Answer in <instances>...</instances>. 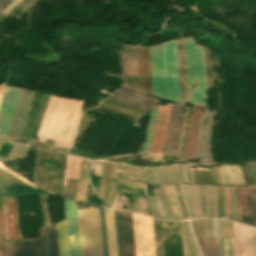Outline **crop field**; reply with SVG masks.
<instances>
[{
    "instance_id": "obj_36",
    "label": "crop field",
    "mask_w": 256,
    "mask_h": 256,
    "mask_svg": "<svg viewBox=\"0 0 256 256\" xmlns=\"http://www.w3.org/2000/svg\"><path fill=\"white\" fill-rule=\"evenodd\" d=\"M116 184L143 191V183L134 181H115Z\"/></svg>"
},
{
    "instance_id": "obj_37",
    "label": "crop field",
    "mask_w": 256,
    "mask_h": 256,
    "mask_svg": "<svg viewBox=\"0 0 256 256\" xmlns=\"http://www.w3.org/2000/svg\"><path fill=\"white\" fill-rule=\"evenodd\" d=\"M196 236H205L201 219L191 220Z\"/></svg>"
},
{
    "instance_id": "obj_4",
    "label": "crop field",
    "mask_w": 256,
    "mask_h": 256,
    "mask_svg": "<svg viewBox=\"0 0 256 256\" xmlns=\"http://www.w3.org/2000/svg\"><path fill=\"white\" fill-rule=\"evenodd\" d=\"M167 99L180 101L176 41L163 44Z\"/></svg>"
},
{
    "instance_id": "obj_30",
    "label": "crop field",
    "mask_w": 256,
    "mask_h": 256,
    "mask_svg": "<svg viewBox=\"0 0 256 256\" xmlns=\"http://www.w3.org/2000/svg\"><path fill=\"white\" fill-rule=\"evenodd\" d=\"M224 167H225L226 172H227V174H228V177H229V180H230V184H231V185H233V182H234V185H238V184H241V183H242V184H245L244 178H243V176H242V174H241L240 169H239L238 166H235V167H236V169H237V172H238L239 178H240V180H241V183H240V181H239V178H238V175H237V172H236V169H235L234 166H228L229 171H230V174H231L232 179H233V182H232V179H231V176H230V174H229V171H228L227 166H224Z\"/></svg>"
},
{
    "instance_id": "obj_59",
    "label": "crop field",
    "mask_w": 256,
    "mask_h": 256,
    "mask_svg": "<svg viewBox=\"0 0 256 256\" xmlns=\"http://www.w3.org/2000/svg\"><path fill=\"white\" fill-rule=\"evenodd\" d=\"M12 0H0V11H2Z\"/></svg>"
},
{
    "instance_id": "obj_60",
    "label": "crop field",
    "mask_w": 256,
    "mask_h": 256,
    "mask_svg": "<svg viewBox=\"0 0 256 256\" xmlns=\"http://www.w3.org/2000/svg\"><path fill=\"white\" fill-rule=\"evenodd\" d=\"M188 170H189V167H188ZM188 170H187V168H185L186 176H187V180H188V184H191L192 181H193V184H194L195 182H194L192 170H191V168H190V170H191V175H192V181H191V182H190L191 175H190V178H189L190 170H189V174H188Z\"/></svg>"
},
{
    "instance_id": "obj_40",
    "label": "crop field",
    "mask_w": 256,
    "mask_h": 256,
    "mask_svg": "<svg viewBox=\"0 0 256 256\" xmlns=\"http://www.w3.org/2000/svg\"><path fill=\"white\" fill-rule=\"evenodd\" d=\"M169 187H170V190H171V193H172V196H173V199H174L179 217L183 218L180 203H179L177 195H176L175 187L174 186H169Z\"/></svg>"
},
{
    "instance_id": "obj_67",
    "label": "crop field",
    "mask_w": 256,
    "mask_h": 256,
    "mask_svg": "<svg viewBox=\"0 0 256 256\" xmlns=\"http://www.w3.org/2000/svg\"><path fill=\"white\" fill-rule=\"evenodd\" d=\"M209 170H210V174H211V177H212L213 183H214V184H217V183H216V179H215V175H214V171H213V169H209Z\"/></svg>"
},
{
    "instance_id": "obj_28",
    "label": "crop field",
    "mask_w": 256,
    "mask_h": 256,
    "mask_svg": "<svg viewBox=\"0 0 256 256\" xmlns=\"http://www.w3.org/2000/svg\"><path fill=\"white\" fill-rule=\"evenodd\" d=\"M219 245V256H223V245H224V256H233L232 238H218Z\"/></svg>"
},
{
    "instance_id": "obj_7",
    "label": "crop field",
    "mask_w": 256,
    "mask_h": 256,
    "mask_svg": "<svg viewBox=\"0 0 256 256\" xmlns=\"http://www.w3.org/2000/svg\"><path fill=\"white\" fill-rule=\"evenodd\" d=\"M208 110L205 107L196 150L195 158H199V163H212L211 130L216 110L212 113H208Z\"/></svg>"
},
{
    "instance_id": "obj_12",
    "label": "crop field",
    "mask_w": 256,
    "mask_h": 256,
    "mask_svg": "<svg viewBox=\"0 0 256 256\" xmlns=\"http://www.w3.org/2000/svg\"><path fill=\"white\" fill-rule=\"evenodd\" d=\"M164 256H183L179 222L161 220Z\"/></svg>"
},
{
    "instance_id": "obj_29",
    "label": "crop field",
    "mask_w": 256,
    "mask_h": 256,
    "mask_svg": "<svg viewBox=\"0 0 256 256\" xmlns=\"http://www.w3.org/2000/svg\"><path fill=\"white\" fill-rule=\"evenodd\" d=\"M190 187H191V191H192V196H193V202H194V207H195L196 215L199 216L198 215V211H197V206H198L199 214H200V216H202L201 205H200V197H199V186H195L197 206H196V200H195L194 186H190ZM187 188H188V194H189V199H190L193 215L195 217L196 215H195V211H194V207H193V203H192V197H191L190 188H189V186H187Z\"/></svg>"
},
{
    "instance_id": "obj_63",
    "label": "crop field",
    "mask_w": 256,
    "mask_h": 256,
    "mask_svg": "<svg viewBox=\"0 0 256 256\" xmlns=\"http://www.w3.org/2000/svg\"><path fill=\"white\" fill-rule=\"evenodd\" d=\"M177 187H178L179 192H180V194H181L182 203H183V207H184V210H185L186 216L188 217V215H187V211H186V207H185V203H184V199H183V195H182V191H181V187H180V186H177Z\"/></svg>"
},
{
    "instance_id": "obj_34",
    "label": "crop field",
    "mask_w": 256,
    "mask_h": 256,
    "mask_svg": "<svg viewBox=\"0 0 256 256\" xmlns=\"http://www.w3.org/2000/svg\"><path fill=\"white\" fill-rule=\"evenodd\" d=\"M49 232H50V242H51V253H52V256H58L55 225L49 227Z\"/></svg>"
},
{
    "instance_id": "obj_39",
    "label": "crop field",
    "mask_w": 256,
    "mask_h": 256,
    "mask_svg": "<svg viewBox=\"0 0 256 256\" xmlns=\"http://www.w3.org/2000/svg\"><path fill=\"white\" fill-rule=\"evenodd\" d=\"M180 223H181V227H182V230H183L186 242H187V246H188V249H189V252H190V256H195L192 245H191V242H190V239H189V236H188V233H187L185 223H184V221L180 222Z\"/></svg>"
},
{
    "instance_id": "obj_25",
    "label": "crop field",
    "mask_w": 256,
    "mask_h": 256,
    "mask_svg": "<svg viewBox=\"0 0 256 256\" xmlns=\"http://www.w3.org/2000/svg\"><path fill=\"white\" fill-rule=\"evenodd\" d=\"M153 171H154V184L175 183L171 166L162 167V168H153Z\"/></svg>"
},
{
    "instance_id": "obj_75",
    "label": "crop field",
    "mask_w": 256,
    "mask_h": 256,
    "mask_svg": "<svg viewBox=\"0 0 256 256\" xmlns=\"http://www.w3.org/2000/svg\"><path fill=\"white\" fill-rule=\"evenodd\" d=\"M218 170H219V173H220L221 178H222V184H224V185H225V183H224V179H223V175H222V172H221V168L219 167V168H218Z\"/></svg>"
},
{
    "instance_id": "obj_15",
    "label": "crop field",
    "mask_w": 256,
    "mask_h": 256,
    "mask_svg": "<svg viewBox=\"0 0 256 256\" xmlns=\"http://www.w3.org/2000/svg\"><path fill=\"white\" fill-rule=\"evenodd\" d=\"M19 91V88L6 87L5 89L0 106V136L6 137L7 135Z\"/></svg>"
},
{
    "instance_id": "obj_52",
    "label": "crop field",
    "mask_w": 256,
    "mask_h": 256,
    "mask_svg": "<svg viewBox=\"0 0 256 256\" xmlns=\"http://www.w3.org/2000/svg\"><path fill=\"white\" fill-rule=\"evenodd\" d=\"M214 194H217V187L214 186ZM214 217H217V195H214Z\"/></svg>"
},
{
    "instance_id": "obj_33",
    "label": "crop field",
    "mask_w": 256,
    "mask_h": 256,
    "mask_svg": "<svg viewBox=\"0 0 256 256\" xmlns=\"http://www.w3.org/2000/svg\"><path fill=\"white\" fill-rule=\"evenodd\" d=\"M220 237H232L231 222L219 220Z\"/></svg>"
},
{
    "instance_id": "obj_18",
    "label": "crop field",
    "mask_w": 256,
    "mask_h": 256,
    "mask_svg": "<svg viewBox=\"0 0 256 256\" xmlns=\"http://www.w3.org/2000/svg\"><path fill=\"white\" fill-rule=\"evenodd\" d=\"M108 255L117 256L116 235L113 210L104 207Z\"/></svg>"
},
{
    "instance_id": "obj_51",
    "label": "crop field",
    "mask_w": 256,
    "mask_h": 256,
    "mask_svg": "<svg viewBox=\"0 0 256 256\" xmlns=\"http://www.w3.org/2000/svg\"><path fill=\"white\" fill-rule=\"evenodd\" d=\"M0 168L3 169V170H5L6 172L12 174L13 176L17 177L18 179H20V180L26 182L27 184L31 185L32 187L37 188V187H35L34 185H32L31 183H29V182L25 181L24 179L20 178L18 175L14 174V173L11 172L10 170L6 169V168L3 167L1 164H0Z\"/></svg>"
},
{
    "instance_id": "obj_3",
    "label": "crop field",
    "mask_w": 256,
    "mask_h": 256,
    "mask_svg": "<svg viewBox=\"0 0 256 256\" xmlns=\"http://www.w3.org/2000/svg\"><path fill=\"white\" fill-rule=\"evenodd\" d=\"M82 256H103L98 209L78 211Z\"/></svg>"
},
{
    "instance_id": "obj_61",
    "label": "crop field",
    "mask_w": 256,
    "mask_h": 256,
    "mask_svg": "<svg viewBox=\"0 0 256 256\" xmlns=\"http://www.w3.org/2000/svg\"><path fill=\"white\" fill-rule=\"evenodd\" d=\"M225 219H227V187H225Z\"/></svg>"
},
{
    "instance_id": "obj_64",
    "label": "crop field",
    "mask_w": 256,
    "mask_h": 256,
    "mask_svg": "<svg viewBox=\"0 0 256 256\" xmlns=\"http://www.w3.org/2000/svg\"><path fill=\"white\" fill-rule=\"evenodd\" d=\"M219 217L221 218V190L219 187Z\"/></svg>"
},
{
    "instance_id": "obj_53",
    "label": "crop field",
    "mask_w": 256,
    "mask_h": 256,
    "mask_svg": "<svg viewBox=\"0 0 256 256\" xmlns=\"http://www.w3.org/2000/svg\"><path fill=\"white\" fill-rule=\"evenodd\" d=\"M200 188H201L202 195H203L204 212H205V216H206L204 186H200ZM201 191H200V197H201V205H202V213H203V203H202ZM203 216H204V213H203Z\"/></svg>"
},
{
    "instance_id": "obj_1",
    "label": "crop field",
    "mask_w": 256,
    "mask_h": 256,
    "mask_svg": "<svg viewBox=\"0 0 256 256\" xmlns=\"http://www.w3.org/2000/svg\"><path fill=\"white\" fill-rule=\"evenodd\" d=\"M84 102L49 97L37 137L54 141L52 146L71 147Z\"/></svg>"
},
{
    "instance_id": "obj_22",
    "label": "crop field",
    "mask_w": 256,
    "mask_h": 256,
    "mask_svg": "<svg viewBox=\"0 0 256 256\" xmlns=\"http://www.w3.org/2000/svg\"><path fill=\"white\" fill-rule=\"evenodd\" d=\"M87 160L81 159L76 200L85 202L88 187Z\"/></svg>"
},
{
    "instance_id": "obj_68",
    "label": "crop field",
    "mask_w": 256,
    "mask_h": 256,
    "mask_svg": "<svg viewBox=\"0 0 256 256\" xmlns=\"http://www.w3.org/2000/svg\"><path fill=\"white\" fill-rule=\"evenodd\" d=\"M143 213L147 214L145 200L142 199Z\"/></svg>"
},
{
    "instance_id": "obj_50",
    "label": "crop field",
    "mask_w": 256,
    "mask_h": 256,
    "mask_svg": "<svg viewBox=\"0 0 256 256\" xmlns=\"http://www.w3.org/2000/svg\"><path fill=\"white\" fill-rule=\"evenodd\" d=\"M116 176L118 177H124V178H128L126 180H135V181H144V178H139V177H129V176H119V175H114V179H124V178H116Z\"/></svg>"
},
{
    "instance_id": "obj_69",
    "label": "crop field",
    "mask_w": 256,
    "mask_h": 256,
    "mask_svg": "<svg viewBox=\"0 0 256 256\" xmlns=\"http://www.w3.org/2000/svg\"><path fill=\"white\" fill-rule=\"evenodd\" d=\"M113 188H114V185L111 186V190H110V194H109V198H108V203H110L112 192H113Z\"/></svg>"
},
{
    "instance_id": "obj_44",
    "label": "crop field",
    "mask_w": 256,
    "mask_h": 256,
    "mask_svg": "<svg viewBox=\"0 0 256 256\" xmlns=\"http://www.w3.org/2000/svg\"><path fill=\"white\" fill-rule=\"evenodd\" d=\"M173 169L176 183H183L179 165H174Z\"/></svg>"
},
{
    "instance_id": "obj_16",
    "label": "crop field",
    "mask_w": 256,
    "mask_h": 256,
    "mask_svg": "<svg viewBox=\"0 0 256 256\" xmlns=\"http://www.w3.org/2000/svg\"><path fill=\"white\" fill-rule=\"evenodd\" d=\"M76 210V203L66 200L65 213L68 225L70 256H81Z\"/></svg>"
},
{
    "instance_id": "obj_19",
    "label": "crop field",
    "mask_w": 256,
    "mask_h": 256,
    "mask_svg": "<svg viewBox=\"0 0 256 256\" xmlns=\"http://www.w3.org/2000/svg\"><path fill=\"white\" fill-rule=\"evenodd\" d=\"M181 101L188 102L184 40L177 41Z\"/></svg>"
},
{
    "instance_id": "obj_26",
    "label": "crop field",
    "mask_w": 256,
    "mask_h": 256,
    "mask_svg": "<svg viewBox=\"0 0 256 256\" xmlns=\"http://www.w3.org/2000/svg\"><path fill=\"white\" fill-rule=\"evenodd\" d=\"M114 215H115L118 255L119 256H125V247H124V236H123V226H122L121 211L114 210Z\"/></svg>"
},
{
    "instance_id": "obj_21",
    "label": "crop field",
    "mask_w": 256,
    "mask_h": 256,
    "mask_svg": "<svg viewBox=\"0 0 256 256\" xmlns=\"http://www.w3.org/2000/svg\"><path fill=\"white\" fill-rule=\"evenodd\" d=\"M126 256H135L131 214L122 211Z\"/></svg>"
},
{
    "instance_id": "obj_57",
    "label": "crop field",
    "mask_w": 256,
    "mask_h": 256,
    "mask_svg": "<svg viewBox=\"0 0 256 256\" xmlns=\"http://www.w3.org/2000/svg\"><path fill=\"white\" fill-rule=\"evenodd\" d=\"M214 236H219L218 220H213Z\"/></svg>"
},
{
    "instance_id": "obj_14",
    "label": "crop field",
    "mask_w": 256,
    "mask_h": 256,
    "mask_svg": "<svg viewBox=\"0 0 256 256\" xmlns=\"http://www.w3.org/2000/svg\"><path fill=\"white\" fill-rule=\"evenodd\" d=\"M34 92L21 90L7 137L19 138Z\"/></svg>"
},
{
    "instance_id": "obj_9",
    "label": "crop field",
    "mask_w": 256,
    "mask_h": 256,
    "mask_svg": "<svg viewBox=\"0 0 256 256\" xmlns=\"http://www.w3.org/2000/svg\"><path fill=\"white\" fill-rule=\"evenodd\" d=\"M109 99L142 109L149 110L152 107L158 106L160 100L151 97L145 93L135 91L126 87L120 88Z\"/></svg>"
},
{
    "instance_id": "obj_45",
    "label": "crop field",
    "mask_w": 256,
    "mask_h": 256,
    "mask_svg": "<svg viewBox=\"0 0 256 256\" xmlns=\"http://www.w3.org/2000/svg\"><path fill=\"white\" fill-rule=\"evenodd\" d=\"M145 181L149 184H153V172L152 168H146V179Z\"/></svg>"
},
{
    "instance_id": "obj_49",
    "label": "crop field",
    "mask_w": 256,
    "mask_h": 256,
    "mask_svg": "<svg viewBox=\"0 0 256 256\" xmlns=\"http://www.w3.org/2000/svg\"><path fill=\"white\" fill-rule=\"evenodd\" d=\"M21 0H14L7 9L3 12V14L7 15Z\"/></svg>"
},
{
    "instance_id": "obj_8",
    "label": "crop field",
    "mask_w": 256,
    "mask_h": 256,
    "mask_svg": "<svg viewBox=\"0 0 256 256\" xmlns=\"http://www.w3.org/2000/svg\"><path fill=\"white\" fill-rule=\"evenodd\" d=\"M47 99L48 95L34 93L20 138L30 140L32 136L37 135Z\"/></svg>"
},
{
    "instance_id": "obj_47",
    "label": "crop field",
    "mask_w": 256,
    "mask_h": 256,
    "mask_svg": "<svg viewBox=\"0 0 256 256\" xmlns=\"http://www.w3.org/2000/svg\"><path fill=\"white\" fill-rule=\"evenodd\" d=\"M186 225H187V229H188V232H189V235H190V239H191L193 248H194V250H195L196 256H200V254H199V252H198V249H197V246H196V244H195V241H194V239L192 238L190 226H189V224H188L187 222H186Z\"/></svg>"
},
{
    "instance_id": "obj_6",
    "label": "crop field",
    "mask_w": 256,
    "mask_h": 256,
    "mask_svg": "<svg viewBox=\"0 0 256 256\" xmlns=\"http://www.w3.org/2000/svg\"><path fill=\"white\" fill-rule=\"evenodd\" d=\"M184 115L183 104L172 106L163 153L177 155Z\"/></svg>"
},
{
    "instance_id": "obj_58",
    "label": "crop field",
    "mask_w": 256,
    "mask_h": 256,
    "mask_svg": "<svg viewBox=\"0 0 256 256\" xmlns=\"http://www.w3.org/2000/svg\"><path fill=\"white\" fill-rule=\"evenodd\" d=\"M183 188V191H184V194H185V198H186V201H187V204H188V208H189V212H190V216H192V212H191V208H190V204H189V200H188V195H187V189H186V186H182Z\"/></svg>"
},
{
    "instance_id": "obj_54",
    "label": "crop field",
    "mask_w": 256,
    "mask_h": 256,
    "mask_svg": "<svg viewBox=\"0 0 256 256\" xmlns=\"http://www.w3.org/2000/svg\"><path fill=\"white\" fill-rule=\"evenodd\" d=\"M209 190H210L211 217H213V186H209Z\"/></svg>"
},
{
    "instance_id": "obj_71",
    "label": "crop field",
    "mask_w": 256,
    "mask_h": 256,
    "mask_svg": "<svg viewBox=\"0 0 256 256\" xmlns=\"http://www.w3.org/2000/svg\"><path fill=\"white\" fill-rule=\"evenodd\" d=\"M116 189H117V185H115V188H114V193H113L111 205H113V202H114V198H115V194H116Z\"/></svg>"
},
{
    "instance_id": "obj_48",
    "label": "crop field",
    "mask_w": 256,
    "mask_h": 256,
    "mask_svg": "<svg viewBox=\"0 0 256 256\" xmlns=\"http://www.w3.org/2000/svg\"><path fill=\"white\" fill-rule=\"evenodd\" d=\"M205 194H206V209H207V216H209V217H210L209 191H208V186H205Z\"/></svg>"
},
{
    "instance_id": "obj_17",
    "label": "crop field",
    "mask_w": 256,
    "mask_h": 256,
    "mask_svg": "<svg viewBox=\"0 0 256 256\" xmlns=\"http://www.w3.org/2000/svg\"><path fill=\"white\" fill-rule=\"evenodd\" d=\"M247 207H241L242 222L256 226V186L243 187Z\"/></svg>"
},
{
    "instance_id": "obj_38",
    "label": "crop field",
    "mask_w": 256,
    "mask_h": 256,
    "mask_svg": "<svg viewBox=\"0 0 256 256\" xmlns=\"http://www.w3.org/2000/svg\"><path fill=\"white\" fill-rule=\"evenodd\" d=\"M117 192L129 194L133 197H140V198L144 199V194L142 192L133 191V190H130V189H127V188L119 187Z\"/></svg>"
},
{
    "instance_id": "obj_20",
    "label": "crop field",
    "mask_w": 256,
    "mask_h": 256,
    "mask_svg": "<svg viewBox=\"0 0 256 256\" xmlns=\"http://www.w3.org/2000/svg\"><path fill=\"white\" fill-rule=\"evenodd\" d=\"M67 156L60 154L57 152L55 168H54V176L52 183V194H60L62 192V185L64 179L65 165H66Z\"/></svg>"
},
{
    "instance_id": "obj_73",
    "label": "crop field",
    "mask_w": 256,
    "mask_h": 256,
    "mask_svg": "<svg viewBox=\"0 0 256 256\" xmlns=\"http://www.w3.org/2000/svg\"><path fill=\"white\" fill-rule=\"evenodd\" d=\"M180 168H181V172H182L183 181H184V183H186L183 166L180 165Z\"/></svg>"
},
{
    "instance_id": "obj_11",
    "label": "crop field",
    "mask_w": 256,
    "mask_h": 256,
    "mask_svg": "<svg viewBox=\"0 0 256 256\" xmlns=\"http://www.w3.org/2000/svg\"><path fill=\"white\" fill-rule=\"evenodd\" d=\"M153 94L166 99L162 46L149 48Z\"/></svg>"
},
{
    "instance_id": "obj_56",
    "label": "crop field",
    "mask_w": 256,
    "mask_h": 256,
    "mask_svg": "<svg viewBox=\"0 0 256 256\" xmlns=\"http://www.w3.org/2000/svg\"><path fill=\"white\" fill-rule=\"evenodd\" d=\"M102 178L107 180V162H102Z\"/></svg>"
},
{
    "instance_id": "obj_66",
    "label": "crop field",
    "mask_w": 256,
    "mask_h": 256,
    "mask_svg": "<svg viewBox=\"0 0 256 256\" xmlns=\"http://www.w3.org/2000/svg\"><path fill=\"white\" fill-rule=\"evenodd\" d=\"M214 170H215V174H216L217 182H218V184H221V178H220V175H219V173H218L217 168H215Z\"/></svg>"
},
{
    "instance_id": "obj_77",
    "label": "crop field",
    "mask_w": 256,
    "mask_h": 256,
    "mask_svg": "<svg viewBox=\"0 0 256 256\" xmlns=\"http://www.w3.org/2000/svg\"><path fill=\"white\" fill-rule=\"evenodd\" d=\"M193 10H195L193 7H192ZM197 12V10H195Z\"/></svg>"
},
{
    "instance_id": "obj_41",
    "label": "crop field",
    "mask_w": 256,
    "mask_h": 256,
    "mask_svg": "<svg viewBox=\"0 0 256 256\" xmlns=\"http://www.w3.org/2000/svg\"><path fill=\"white\" fill-rule=\"evenodd\" d=\"M43 234H44L45 254H46V256H50L48 227L43 229Z\"/></svg>"
},
{
    "instance_id": "obj_55",
    "label": "crop field",
    "mask_w": 256,
    "mask_h": 256,
    "mask_svg": "<svg viewBox=\"0 0 256 256\" xmlns=\"http://www.w3.org/2000/svg\"><path fill=\"white\" fill-rule=\"evenodd\" d=\"M206 236H210L208 219H202Z\"/></svg>"
},
{
    "instance_id": "obj_23",
    "label": "crop field",
    "mask_w": 256,
    "mask_h": 256,
    "mask_svg": "<svg viewBox=\"0 0 256 256\" xmlns=\"http://www.w3.org/2000/svg\"><path fill=\"white\" fill-rule=\"evenodd\" d=\"M59 256H69L66 220L56 225Z\"/></svg>"
},
{
    "instance_id": "obj_32",
    "label": "crop field",
    "mask_w": 256,
    "mask_h": 256,
    "mask_svg": "<svg viewBox=\"0 0 256 256\" xmlns=\"http://www.w3.org/2000/svg\"><path fill=\"white\" fill-rule=\"evenodd\" d=\"M187 110H188V112H187V116H186L184 132H183V137H182V142H181V150L179 152V156H183V154H184V148H185L186 137H187L188 126H189V121H190V115H191L192 108H187Z\"/></svg>"
},
{
    "instance_id": "obj_13",
    "label": "crop field",
    "mask_w": 256,
    "mask_h": 256,
    "mask_svg": "<svg viewBox=\"0 0 256 256\" xmlns=\"http://www.w3.org/2000/svg\"><path fill=\"white\" fill-rule=\"evenodd\" d=\"M0 256H45L43 239L16 244L0 242Z\"/></svg>"
},
{
    "instance_id": "obj_24",
    "label": "crop field",
    "mask_w": 256,
    "mask_h": 256,
    "mask_svg": "<svg viewBox=\"0 0 256 256\" xmlns=\"http://www.w3.org/2000/svg\"><path fill=\"white\" fill-rule=\"evenodd\" d=\"M202 256H218L217 238H196Z\"/></svg>"
},
{
    "instance_id": "obj_10",
    "label": "crop field",
    "mask_w": 256,
    "mask_h": 256,
    "mask_svg": "<svg viewBox=\"0 0 256 256\" xmlns=\"http://www.w3.org/2000/svg\"><path fill=\"white\" fill-rule=\"evenodd\" d=\"M0 194L14 197L48 194L42 189H34L0 169Z\"/></svg>"
},
{
    "instance_id": "obj_46",
    "label": "crop field",
    "mask_w": 256,
    "mask_h": 256,
    "mask_svg": "<svg viewBox=\"0 0 256 256\" xmlns=\"http://www.w3.org/2000/svg\"><path fill=\"white\" fill-rule=\"evenodd\" d=\"M148 198H149V202H150L152 214H153V215H156V216H159V215H158V211H157V207H156L154 198H152V197H150V196H148Z\"/></svg>"
},
{
    "instance_id": "obj_72",
    "label": "crop field",
    "mask_w": 256,
    "mask_h": 256,
    "mask_svg": "<svg viewBox=\"0 0 256 256\" xmlns=\"http://www.w3.org/2000/svg\"><path fill=\"white\" fill-rule=\"evenodd\" d=\"M115 173H119V172H115ZM119 174L131 175V176H144V175H139V174H129V173H119Z\"/></svg>"
},
{
    "instance_id": "obj_42",
    "label": "crop field",
    "mask_w": 256,
    "mask_h": 256,
    "mask_svg": "<svg viewBox=\"0 0 256 256\" xmlns=\"http://www.w3.org/2000/svg\"><path fill=\"white\" fill-rule=\"evenodd\" d=\"M155 190V193H156V198H157V202H158V205H159V209H160V213L163 217H166V214H165V211H164V207H163V204H162V201H161V198H160V194H159V190L158 189H154ZM155 195V194H154ZM156 200V199H155ZM156 202V203H157ZM157 205V207H158ZM158 209V211H159ZM159 213V215H160ZM160 215V216H161ZM167 218V217H166Z\"/></svg>"
},
{
    "instance_id": "obj_65",
    "label": "crop field",
    "mask_w": 256,
    "mask_h": 256,
    "mask_svg": "<svg viewBox=\"0 0 256 256\" xmlns=\"http://www.w3.org/2000/svg\"><path fill=\"white\" fill-rule=\"evenodd\" d=\"M221 168H222L223 175H224V178H225V183H226V185H229V180H228L227 174H226V172H225L223 166H221Z\"/></svg>"
},
{
    "instance_id": "obj_35",
    "label": "crop field",
    "mask_w": 256,
    "mask_h": 256,
    "mask_svg": "<svg viewBox=\"0 0 256 256\" xmlns=\"http://www.w3.org/2000/svg\"><path fill=\"white\" fill-rule=\"evenodd\" d=\"M99 213H100V223H101V232H102V241H103V251H104V256H107V246H106V235H105L103 210L99 209Z\"/></svg>"
},
{
    "instance_id": "obj_43",
    "label": "crop field",
    "mask_w": 256,
    "mask_h": 256,
    "mask_svg": "<svg viewBox=\"0 0 256 256\" xmlns=\"http://www.w3.org/2000/svg\"><path fill=\"white\" fill-rule=\"evenodd\" d=\"M5 238L8 239L6 197H3Z\"/></svg>"
},
{
    "instance_id": "obj_31",
    "label": "crop field",
    "mask_w": 256,
    "mask_h": 256,
    "mask_svg": "<svg viewBox=\"0 0 256 256\" xmlns=\"http://www.w3.org/2000/svg\"><path fill=\"white\" fill-rule=\"evenodd\" d=\"M159 190H160V193H161V197H162V201H163V204H164V207H165L167 217L168 218H174V215H173L170 203H169V199H168V195H167L165 187L160 186Z\"/></svg>"
},
{
    "instance_id": "obj_5",
    "label": "crop field",
    "mask_w": 256,
    "mask_h": 256,
    "mask_svg": "<svg viewBox=\"0 0 256 256\" xmlns=\"http://www.w3.org/2000/svg\"><path fill=\"white\" fill-rule=\"evenodd\" d=\"M234 256H256V229L232 222Z\"/></svg>"
},
{
    "instance_id": "obj_2",
    "label": "crop field",
    "mask_w": 256,
    "mask_h": 256,
    "mask_svg": "<svg viewBox=\"0 0 256 256\" xmlns=\"http://www.w3.org/2000/svg\"><path fill=\"white\" fill-rule=\"evenodd\" d=\"M189 102L206 106L204 61L201 47L191 39L185 40ZM197 83V88L191 89V84Z\"/></svg>"
},
{
    "instance_id": "obj_27",
    "label": "crop field",
    "mask_w": 256,
    "mask_h": 256,
    "mask_svg": "<svg viewBox=\"0 0 256 256\" xmlns=\"http://www.w3.org/2000/svg\"><path fill=\"white\" fill-rule=\"evenodd\" d=\"M157 108H154L152 110L151 118H150V123H149V128L147 132V137H146V142H145V147H144V152H149L150 150V145H151V140H152V135H153V129H154V124H155V119H156V114H157Z\"/></svg>"
},
{
    "instance_id": "obj_70",
    "label": "crop field",
    "mask_w": 256,
    "mask_h": 256,
    "mask_svg": "<svg viewBox=\"0 0 256 256\" xmlns=\"http://www.w3.org/2000/svg\"><path fill=\"white\" fill-rule=\"evenodd\" d=\"M175 187H176V186H175ZM176 190H177V194H178V197H179V200H180V203H181V198H180V194H179V192H178L177 187H176ZM181 207H182V203H181ZM182 211H183L184 217H186V216H185V213H184V210H183V207H182Z\"/></svg>"
},
{
    "instance_id": "obj_62",
    "label": "crop field",
    "mask_w": 256,
    "mask_h": 256,
    "mask_svg": "<svg viewBox=\"0 0 256 256\" xmlns=\"http://www.w3.org/2000/svg\"><path fill=\"white\" fill-rule=\"evenodd\" d=\"M45 163H46V158L40 157L38 165L45 168Z\"/></svg>"
},
{
    "instance_id": "obj_76",
    "label": "crop field",
    "mask_w": 256,
    "mask_h": 256,
    "mask_svg": "<svg viewBox=\"0 0 256 256\" xmlns=\"http://www.w3.org/2000/svg\"><path fill=\"white\" fill-rule=\"evenodd\" d=\"M115 166H118V165H115ZM119 167H124V166H119Z\"/></svg>"
},
{
    "instance_id": "obj_74",
    "label": "crop field",
    "mask_w": 256,
    "mask_h": 256,
    "mask_svg": "<svg viewBox=\"0 0 256 256\" xmlns=\"http://www.w3.org/2000/svg\"><path fill=\"white\" fill-rule=\"evenodd\" d=\"M209 223H210L211 236H213L212 220L209 219Z\"/></svg>"
}]
</instances>
